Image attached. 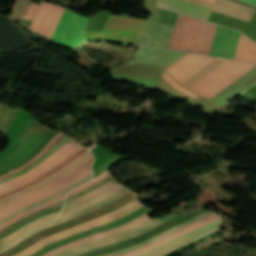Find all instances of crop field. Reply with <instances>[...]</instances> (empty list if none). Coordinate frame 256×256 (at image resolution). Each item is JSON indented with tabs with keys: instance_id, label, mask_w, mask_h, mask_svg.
Instances as JSON below:
<instances>
[{
	"instance_id": "11",
	"label": "crop field",
	"mask_w": 256,
	"mask_h": 256,
	"mask_svg": "<svg viewBox=\"0 0 256 256\" xmlns=\"http://www.w3.org/2000/svg\"><path fill=\"white\" fill-rule=\"evenodd\" d=\"M241 33L217 27L209 55L233 59Z\"/></svg>"
},
{
	"instance_id": "33",
	"label": "crop field",
	"mask_w": 256,
	"mask_h": 256,
	"mask_svg": "<svg viewBox=\"0 0 256 256\" xmlns=\"http://www.w3.org/2000/svg\"><path fill=\"white\" fill-rule=\"evenodd\" d=\"M32 122H33V119L29 117L26 118L24 123L21 125V127L15 134L11 143L4 150L0 152V157L10 152L19 143V141L22 139V137L24 136V134L26 133L27 129L29 128Z\"/></svg>"
},
{
	"instance_id": "27",
	"label": "crop field",
	"mask_w": 256,
	"mask_h": 256,
	"mask_svg": "<svg viewBox=\"0 0 256 256\" xmlns=\"http://www.w3.org/2000/svg\"><path fill=\"white\" fill-rule=\"evenodd\" d=\"M173 216H175V215H174V214H168V215H166L165 217H163L162 219H160L159 221H157V222H155V223H153V224H151V225H149V226H147V227H145V228H143V229H141V230H139V231H137V232H135V233H133V234H130V235L121 237V238H119V239L110 240V241H107V242L95 244V245H93V246H91V247H88V248H86V249H83V250L74 252V253L69 254V255H67V256H74V255H77V254H80V253H83V252H86V251H89V250H92V249H95V248H98V247H101V246L108 245V244H110V243H114V242H118V241H122V240H125V239L132 238V237H134V236H136V235H139V234H141V233H143V232H145V231H147V230H149V229H151V228H153V227H155V226L161 224L162 222L168 220L169 218H171V217H173Z\"/></svg>"
},
{
	"instance_id": "37",
	"label": "crop field",
	"mask_w": 256,
	"mask_h": 256,
	"mask_svg": "<svg viewBox=\"0 0 256 256\" xmlns=\"http://www.w3.org/2000/svg\"><path fill=\"white\" fill-rule=\"evenodd\" d=\"M40 124L38 123V121L35 119V121L33 122V124L30 126V128L28 129L27 133L25 134V136L23 137L22 141L20 142V144L14 149L12 150L9 154L5 155L4 157L0 158V162L11 157L13 154H15L18 150L21 149V147L26 143V141L30 138V136L34 133V131L38 128Z\"/></svg>"
},
{
	"instance_id": "47",
	"label": "crop field",
	"mask_w": 256,
	"mask_h": 256,
	"mask_svg": "<svg viewBox=\"0 0 256 256\" xmlns=\"http://www.w3.org/2000/svg\"><path fill=\"white\" fill-rule=\"evenodd\" d=\"M18 240H19V239H18ZM18 240H16L15 242H13V243H11V244H9V245H7V246L1 248V249H0V252L3 251V250H5V249H7V248H9V247H11V246H13L14 244H16V242H17Z\"/></svg>"
},
{
	"instance_id": "49",
	"label": "crop field",
	"mask_w": 256,
	"mask_h": 256,
	"mask_svg": "<svg viewBox=\"0 0 256 256\" xmlns=\"http://www.w3.org/2000/svg\"><path fill=\"white\" fill-rule=\"evenodd\" d=\"M206 1H209V2H213V3H214L215 0H214V1L206 0Z\"/></svg>"
},
{
	"instance_id": "17",
	"label": "crop field",
	"mask_w": 256,
	"mask_h": 256,
	"mask_svg": "<svg viewBox=\"0 0 256 256\" xmlns=\"http://www.w3.org/2000/svg\"><path fill=\"white\" fill-rule=\"evenodd\" d=\"M50 132L51 130L40 125V127L36 130V132L31 136V138L18 153H16L14 156L7 159L6 161L0 163V171L17 164L24 157L28 156L48 136Z\"/></svg>"
},
{
	"instance_id": "28",
	"label": "crop field",
	"mask_w": 256,
	"mask_h": 256,
	"mask_svg": "<svg viewBox=\"0 0 256 256\" xmlns=\"http://www.w3.org/2000/svg\"><path fill=\"white\" fill-rule=\"evenodd\" d=\"M211 213H213V212L211 210H209V211H207V212H205V213H203V214H201V215H199V216H197V217H195V218H193V219H191V220H189V221H187V222H185V223H183V224H181V225H179L177 227H174V228H172V229H170V230H168V231H166V232H164V233H162V234H160V235H158V236H156V237H154V238H152V239H150V240H148V241H146L144 243L135 245V246L130 247V248L126 249V250L112 252V253L104 255V256H114V255H117V254H121V253H124V252H128V251L140 248V247H142V246H144V245H146V244H148V243H150V242H152V241H154V240H156V239H158V238H160V237H162V236H164V235H166V234H168V233H170V232H172L174 230H177V229H179L181 227H184V226H186L188 224H191V223H193V222H195V221H197V220H199V219H201V218H203V217H205V216H207V215H209Z\"/></svg>"
},
{
	"instance_id": "45",
	"label": "crop field",
	"mask_w": 256,
	"mask_h": 256,
	"mask_svg": "<svg viewBox=\"0 0 256 256\" xmlns=\"http://www.w3.org/2000/svg\"><path fill=\"white\" fill-rule=\"evenodd\" d=\"M108 176H110V175L105 172L104 174H102L100 177H98L97 179L93 180L92 182H90V183H88V184H86V185H84V186H82V187H80V188H78V189H76V190L70 192V193L68 194V196H70V195H72V194H74V193H76V192H79V191H81V190H83V189H85V188H87V187L93 185L94 183H96V182H98V181H100V180H102V179H104V178H106V177H108ZM68 196H67V197H68Z\"/></svg>"
},
{
	"instance_id": "23",
	"label": "crop field",
	"mask_w": 256,
	"mask_h": 256,
	"mask_svg": "<svg viewBox=\"0 0 256 256\" xmlns=\"http://www.w3.org/2000/svg\"><path fill=\"white\" fill-rule=\"evenodd\" d=\"M59 211L57 212H54V213H51L49 215H46L34 222H31L25 226H23L22 228H20L18 231L14 232L13 234L11 235H7L8 237L0 240V247L20 238L21 236H23L25 233H27L28 231L40 226V225H43L45 223H48L50 221H53V220H56L57 218V214H58Z\"/></svg>"
},
{
	"instance_id": "29",
	"label": "crop field",
	"mask_w": 256,
	"mask_h": 256,
	"mask_svg": "<svg viewBox=\"0 0 256 256\" xmlns=\"http://www.w3.org/2000/svg\"><path fill=\"white\" fill-rule=\"evenodd\" d=\"M216 216H218V215L216 213H214V214H212V215H210V216H208V217H206L204 219H201V220H199V221H197V222H195V223H193V224H191L189 226H186V227L181 228V229H179V230H177L175 232H172V233H170V234H168V235L158 239L157 241H155V242H153V243H151V244H149V245H147V246H145L143 248H140V249L128 252V253H124V254H121V255H118V256H126V255H130V254H134V253L140 252V251H142L144 249H147V248H149V247H151V246H153V245H155V244H157V243H159V242H161L163 240H166V239H168V238H170L172 236H175V235H177V234H179V233H181L183 231H186V230H188V229H190V228H192V227H194V226H196V225H198L200 223H203V222H205V221H207L209 219H212V218H214Z\"/></svg>"
},
{
	"instance_id": "44",
	"label": "crop field",
	"mask_w": 256,
	"mask_h": 256,
	"mask_svg": "<svg viewBox=\"0 0 256 256\" xmlns=\"http://www.w3.org/2000/svg\"><path fill=\"white\" fill-rule=\"evenodd\" d=\"M38 7L39 6L28 4L22 18L32 20Z\"/></svg>"
},
{
	"instance_id": "21",
	"label": "crop field",
	"mask_w": 256,
	"mask_h": 256,
	"mask_svg": "<svg viewBox=\"0 0 256 256\" xmlns=\"http://www.w3.org/2000/svg\"><path fill=\"white\" fill-rule=\"evenodd\" d=\"M256 74V66L251 69L249 72L244 74L242 77H240L238 80H236L234 83L229 85L227 88H225L223 91L218 93L216 96H214L211 100L223 105L227 103L228 101L235 98L237 95H239L241 92H243L245 87L241 86L240 84L246 81L248 78Z\"/></svg>"
},
{
	"instance_id": "46",
	"label": "crop field",
	"mask_w": 256,
	"mask_h": 256,
	"mask_svg": "<svg viewBox=\"0 0 256 256\" xmlns=\"http://www.w3.org/2000/svg\"><path fill=\"white\" fill-rule=\"evenodd\" d=\"M219 217H221V216H219ZM219 217H217V218H219ZM217 218H215V219H217ZM215 219H212V220H210V221H208V222H211V221H213V220H215ZM208 222H206V223H208ZM206 223H203V224H201V225H199V226H197V227H195V228H198V227H200V226H202V225H204V224H206ZM195 228H192V229H190V230H193V229H195ZM190 230H188V231H190ZM188 231H186V232H188ZM186 232H184V233H186ZM181 234H183V233H181ZM181 234H179V235H181ZM179 235H177V236H179ZM177 236H175V237H177ZM172 238H174V237H172ZM172 238H170V239H172ZM170 239H168V240H170ZM168 240H166V241H168ZM166 241H164V242H166ZM164 242H162V243H164ZM162 243H160V244H162ZM160 244H158V245H156V246H153V247H151V248H149V249H147V250H144V251H142V252H140V253L131 255V256H135V255L144 253V252H146V251H149V250H151V249H153V248L159 246Z\"/></svg>"
},
{
	"instance_id": "5",
	"label": "crop field",
	"mask_w": 256,
	"mask_h": 256,
	"mask_svg": "<svg viewBox=\"0 0 256 256\" xmlns=\"http://www.w3.org/2000/svg\"><path fill=\"white\" fill-rule=\"evenodd\" d=\"M92 160H93V158L90 159L88 162H86L81 167L74 170L68 176L62 178L61 180L56 181V182L50 184L49 186H47L35 193L23 198V199L17 200L15 202L11 203L10 205L0 209V219L18 209H20V208L26 207L42 198H45L61 189L73 184L74 182L80 180L85 175H87L89 172H91Z\"/></svg>"
},
{
	"instance_id": "36",
	"label": "crop field",
	"mask_w": 256,
	"mask_h": 256,
	"mask_svg": "<svg viewBox=\"0 0 256 256\" xmlns=\"http://www.w3.org/2000/svg\"><path fill=\"white\" fill-rule=\"evenodd\" d=\"M74 143H75V142H73V141L71 140L69 143H67L65 146H63L62 148H60L57 152H55V153H54L53 155H51L49 158H47L46 160H44V161L41 162L40 164L36 165V166H35L33 169H31L30 171L26 172V173L23 174V175H20V176L14 178V179H12V180H10V181L4 183V184H1V185H0V188L4 187V186H6V185H8V184H10V183H13V182H15V181H17V180L23 178L24 176L28 175L29 173L35 171L37 168H39V167L43 166L44 164H46L47 162H49V161H50L51 159H53L56 155H58L59 153H61L62 151H64L65 149H67L68 147H70V146H71L72 144H74Z\"/></svg>"
},
{
	"instance_id": "8",
	"label": "crop field",
	"mask_w": 256,
	"mask_h": 256,
	"mask_svg": "<svg viewBox=\"0 0 256 256\" xmlns=\"http://www.w3.org/2000/svg\"><path fill=\"white\" fill-rule=\"evenodd\" d=\"M88 151L89 150H87V149H85L81 146L78 147L76 150H74L68 156H66L65 158H63L62 160H60L59 162H57L53 166L47 168L46 170H44L43 172H41L37 176L33 177L29 181L0 193V201L3 200V199L8 198L10 196H13L15 194H18V193L36 185V184H38L39 182L43 181L44 179H46V178H48V177H50L54 174L59 173L65 167H67L68 165H70L71 163L76 161L78 158H80L81 156L86 154Z\"/></svg>"
},
{
	"instance_id": "25",
	"label": "crop field",
	"mask_w": 256,
	"mask_h": 256,
	"mask_svg": "<svg viewBox=\"0 0 256 256\" xmlns=\"http://www.w3.org/2000/svg\"><path fill=\"white\" fill-rule=\"evenodd\" d=\"M234 59L256 63V42L241 35Z\"/></svg>"
},
{
	"instance_id": "9",
	"label": "crop field",
	"mask_w": 256,
	"mask_h": 256,
	"mask_svg": "<svg viewBox=\"0 0 256 256\" xmlns=\"http://www.w3.org/2000/svg\"><path fill=\"white\" fill-rule=\"evenodd\" d=\"M64 8L42 1L29 28L50 39Z\"/></svg>"
},
{
	"instance_id": "22",
	"label": "crop field",
	"mask_w": 256,
	"mask_h": 256,
	"mask_svg": "<svg viewBox=\"0 0 256 256\" xmlns=\"http://www.w3.org/2000/svg\"><path fill=\"white\" fill-rule=\"evenodd\" d=\"M221 221H222V217L217 219V220H215V221H213V222H211V223H208V224H206V225H204V226H202V227H200V228H198L196 230H193L191 232L183 234V235H181V236H179V237H177V238H175V239H173V240L163 244L162 246H160V247H158V248H156L154 250H151L149 252H146V253L138 255V256H152V255H155V254H157V253H159V252H161V251H163V250H165V249H167V248H169V247H171V246H173V245H175V244H177L179 242H182V241H184V240H186L188 238H191V237H193L195 235H198L200 233H203L205 231H208L210 229H213L215 227L220 226L221 225Z\"/></svg>"
},
{
	"instance_id": "13",
	"label": "crop field",
	"mask_w": 256,
	"mask_h": 256,
	"mask_svg": "<svg viewBox=\"0 0 256 256\" xmlns=\"http://www.w3.org/2000/svg\"><path fill=\"white\" fill-rule=\"evenodd\" d=\"M212 59L213 57L188 53L165 71L180 83Z\"/></svg>"
},
{
	"instance_id": "12",
	"label": "crop field",
	"mask_w": 256,
	"mask_h": 256,
	"mask_svg": "<svg viewBox=\"0 0 256 256\" xmlns=\"http://www.w3.org/2000/svg\"><path fill=\"white\" fill-rule=\"evenodd\" d=\"M185 54V52L140 47L135 60L132 62L169 67Z\"/></svg>"
},
{
	"instance_id": "2",
	"label": "crop field",
	"mask_w": 256,
	"mask_h": 256,
	"mask_svg": "<svg viewBox=\"0 0 256 256\" xmlns=\"http://www.w3.org/2000/svg\"><path fill=\"white\" fill-rule=\"evenodd\" d=\"M254 66L255 64L229 60L190 90L210 99Z\"/></svg>"
},
{
	"instance_id": "20",
	"label": "crop field",
	"mask_w": 256,
	"mask_h": 256,
	"mask_svg": "<svg viewBox=\"0 0 256 256\" xmlns=\"http://www.w3.org/2000/svg\"><path fill=\"white\" fill-rule=\"evenodd\" d=\"M126 188H124L122 185L120 184H115L111 187H109L108 189H106L105 191H103L102 193L88 199V200H84L76 205H73L69 208H66L64 210H62V212L60 213L59 215V218H62V217H65V216H68L70 214H73V213H76L78 211H81L83 209H86L98 202H101L109 197H111L112 195L124 190Z\"/></svg>"
},
{
	"instance_id": "18",
	"label": "crop field",
	"mask_w": 256,
	"mask_h": 256,
	"mask_svg": "<svg viewBox=\"0 0 256 256\" xmlns=\"http://www.w3.org/2000/svg\"><path fill=\"white\" fill-rule=\"evenodd\" d=\"M256 9L229 0H217L213 11L250 22Z\"/></svg>"
},
{
	"instance_id": "38",
	"label": "crop field",
	"mask_w": 256,
	"mask_h": 256,
	"mask_svg": "<svg viewBox=\"0 0 256 256\" xmlns=\"http://www.w3.org/2000/svg\"><path fill=\"white\" fill-rule=\"evenodd\" d=\"M64 197H65V195L62 196V197H60V198H58V199H56V200H54V201H51V202H48V203H46V204H43V205H41V206H39V207H36V208H34V209L30 210V211H26L25 213H23V214H21V215H19V216H16V217L10 219L9 221H7L6 223H4L3 225H1V226H0V229H2L3 227H5V226H7V225H9V224H11V223L17 221L18 219H20V218H22V217H24V216H26V215H28V214H30V213H33V212H35V211H37V210H40V209H42V208H44V207H47V206H49V205H52V204H54V203H56V202H58V201L64 199Z\"/></svg>"
},
{
	"instance_id": "41",
	"label": "crop field",
	"mask_w": 256,
	"mask_h": 256,
	"mask_svg": "<svg viewBox=\"0 0 256 256\" xmlns=\"http://www.w3.org/2000/svg\"><path fill=\"white\" fill-rule=\"evenodd\" d=\"M115 183H117V182H116L115 180H113V181L109 182L108 184H106V185H104V186L98 188L97 190H95V191H93V192H91V193H89V194H87V195H85V196H83V197H81V198H78V199H76V200H73V201H71V202L65 204V205H64V208H66V207H68V206H70V205H72V204H74V203H76V202H79V201H81V200H83V199H87V198H89V197H91V196H93V195H95V194H97V193H99V192L105 190L106 188H108L109 186H111V185H113V184H115ZM64 208H63V209H64Z\"/></svg>"
},
{
	"instance_id": "26",
	"label": "crop field",
	"mask_w": 256,
	"mask_h": 256,
	"mask_svg": "<svg viewBox=\"0 0 256 256\" xmlns=\"http://www.w3.org/2000/svg\"><path fill=\"white\" fill-rule=\"evenodd\" d=\"M91 178H92V173H89L87 176H85L83 179H81L80 181L76 182L75 184H73V185H71V186H69V187H67V188H65V189H63V190L57 192L56 194H54V195H52V196H50V197H47V198H45V199H43V200H41V201H39V202H37V203H35V204H33V205H30V206H28V207H26V208H23V209H21V210H18V211H16V212H14L13 214H11L9 217H7V218H5V219H3V220H0V225L3 224L4 222H6L7 220H9L10 218H12V217H14V216H16V215H19V214L23 213L24 211H26V210H28V209L34 208V207H36V206H39V205H41V204H43V203H46V202H48V201H51V200H53V199H56V198H58V197H60V196H62V195H64V194H66L69 190H71V189H73V188H75V187H77V186H80V185L86 183V182L89 181Z\"/></svg>"
},
{
	"instance_id": "16",
	"label": "crop field",
	"mask_w": 256,
	"mask_h": 256,
	"mask_svg": "<svg viewBox=\"0 0 256 256\" xmlns=\"http://www.w3.org/2000/svg\"><path fill=\"white\" fill-rule=\"evenodd\" d=\"M155 211H150L142 216H140L139 218L125 224V225H122L118 228H115V229H111V230H108V231H105V232H101V233H98V234H95V235H92V236H89V237H86V238H83V239H80V240H77V241H74V242H71V243H68L66 245H63V246H60L48 253H46L45 255L43 256H53L57 253H60V252H64L66 250H69L73 247H76L78 245H81L83 243H86V242H91L93 240H96V239H99V238H103V237H106V236H109V235H113V234H116V233H120V232H123L125 230H128L134 226H137L147 220H149L150 218L147 216L151 213H153Z\"/></svg>"
},
{
	"instance_id": "35",
	"label": "crop field",
	"mask_w": 256,
	"mask_h": 256,
	"mask_svg": "<svg viewBox=\"0 0 256 256\" xmlns=\"http://www.w3.org/2000/svg\"><path fill=\"white\" fill-rule=\"evenodd\" d=\"M69 141H70V139H68V138L65 137L61 142H59V143H58L56 146H54L51 150H49L47 153H45L43 156H41L36 162L32 163L28 168H25V169H23V170H21V171L15 173V174L9 176V177H6V178L2 179V180L0 181V184L3 183V182H5V181H7V180H9V179H11V178L16 177V176H18V175H20V174H22V173H24V172H26V171H28V170L31 169V168H33L36 164H38L39 162H41V161H43L44 159H46L48 156H50L51 154H53L56 150H58L60 147H62L64 144H66V143L69 142Z\"/></svg>"
},
{
	"instance_id": "4",
	"label": "crop field",
	"mask_w": 256,
	"mask_h": 256,
	"mask_svg": "<svg viewBox=\"0 0 256 256\" xmlns=\"http://www.w3.org/2000/svg\"><path fill=\"white\" fill-rule=\"evenodd\" d=\"M142 207V205L138 202V200H134L132 202H130L129 204H126L124 207H121L117 210H114L106 215L97 217L95 219H92L88 222L85 223H81L79 225L73 226L71 228H68L60 233L57 234H53L39 242H37L36 244L20 251L18 254L14 255V256H28L32 253H34L35 251H37L38 249L46 246L49 243H52L56 240L65 238L67 236H70L74 233H78L80 231L89 229V228H93V227H97L100 226L102 224H105L109 221L115 220V219H119L127 214H129L130 212L138 209Z\"/></svg>"
},
{
	"instance_id": "39",
	"label": "crop field",
	"mask_w": 256,
	"mask_h": 256,
	"mask_svg": "<svg viewBox=\"0 0 256 256\" xmlns=\"http://www.w3.org/2000/svg\"><path fill=\"white\" fill-rule=\"evenodd\" d=\"M63 201H64V200H62V201H60V202H58V203H56V204H54V205H52V206H49V207H47V208H45V209H42V210H40V211H37V212H35V213H33V214H31V215H29V216H27V217H25V218L19 220V221H17V222H15V223L11 224L10 226H8V227H6L5 229L1 230V231H0V235H1L2 233H4V232L10 230L11 228L17 226L18 224H20V223H22V222H24V221H26V220H28V219H30V218H32V217L38 215V214H41V213H43V212H45V211H48V210H50V209H52V208H54V207H57V206L62 205Z\"/></svg>"
},
{
	"instance_id": "24",
	"label": "crop field",
	"mask_w": 256,
	"mask_h": 256,
	"mask_svg": "<svg viewBox=\"0 0 256 256\" xmlns=\"http://www.w3.org/2000/svg\"><path fill=\"white\" fill-rule=\"evenodd\" d=\"M226 61V59L215 58L180 84L189 89Z\"/></svg>"
},
{
	"instance_id": "32",
	"label": "crop field",
	"mask_w": 256,
	"mask_h": 256,
	"mask_svg": "<svg viewBox=\"0 0 256 256\" xmlns=\"http://www.w3.org/2000/svg\"><path fill=\"white\" fill-rule=\"evenodd\" d=\"M65 136L63 134H60L58 133L45 147L44 149L38 153L36 156H34L32 159H30L28 162H26L24 165H22L21 167L11 171V172H8L2 176H0V179L6 177V176H9L27 166H29L32 162L36 161L41 155H43L45 152H47L49 149H51L54 145H56L59 141H61Z\"/></svg>"
},
{
	"instance_id": "14",
	"label": "crop field",
	"mask_w": 256,
	"mask_h": 256,
	"mask_svg": "<svg viewBox=\"0 0 256 256\" xmlns=\"http://www.w3.org/2000/svg\"><path fill=\"white\" fill-rule=\"evenodd\" d=\"M151 209H146V208H141L129 215H127L126 217L122 218V219H119V220H116V221H112V222H109L105 225H102L98 228H93V229H89L85 232H82V233H78V234H75L73 236H70L66 239H63L61 241H58V242H55V243H52L44 248H42L41 250H39L38 252L32 254L31 256H41L42 254L60 246V245H63L65 243H68V242H71V241H74V240H77V239H80V238H83V237H86V236H89V235H92V234H95V233H98V232H101V231H104V230H108V229H111V228H115V227H118L122 224H125L137 217H139L140 215L150 211Z\"/></svg>"
},
{
	"instance_id": "15",
	"label": "crop field",
	"mask_w": 256,
	"mask_h": 256,
	"mask_svg": "<svg viewBox=\"0 0 256 256\" xmlns=\"http://www.w3.org/2000/svg\"><path fill=\"white\" fill-rule=\"evenodd\" d=\"M186 1H190L193 3H197L200 5H204L207 7H213V3H209L203 0H186ZM183 0H159V6L163 7V8H167L173 11H177L183 14H187L190 16H194L200 19H204L206 20L211 8H207L204 6H200L197 4H193L190 2H186Z\"/></svg>"
},
{
	"instance_id": "48",
	"label": "crop field",
	"mask_w": 256,
	"mask_h": 256,
	"mask_svg": "<svg viewBox=\"0 0 256 256\" xmlns=\"http://www.w3.org/2000/svg\"><path fill=\"white\" fill-rule=\"evenodd\" d=\"M245 1L250 2V3H253V4L256 5V0H245Z\"/></svg>"
},
{
	"instance_id": "19",
	"label": "crop field",
	"mask_w": 256,
	"mask_h": 256,
	"mask_svg": "<svg viewBox=\"0 0 256 256\" xmlns=\"http://www.w3.org/2000/svg\"><path fill=\"white\" fill-rule=\"evenodd\" d=\"M92 157H93V156H92L91 152L87 153L85 156H83L81 159H79V160H78L77 162H75L74 164L68 166L66 169H64L63 171H61L59 174L54 175V176H52V177H50V178L44 180V181L41 182L40 184L36 185L35 187H33V188H31V189H29V190L23 192V193H20V194H18V195H15V196H13V197H11V198H9V199H6V200L0 202V208L4 207L5 205H7V204H9V203H11V202H13V201L16 200V199H19V198H22V197H24V196H26V195H29V194H31V193H33V192H35V191H37V190H39V189H41V188L47 186V185H49L50 183H52V182H54V181H56V180H58V179H60V178H62V177H64V176L68 175V174H69L70 172H72L75 168H77L78 166L84 164L88 159H90V158H92Z\"/></svg>"
},
{
	"instance_id": "43",
	"label": "crop field",
	"mask_w": 256,
	"mask_h": 256,
	"mask_svg": "<svg viewBox=\"0 0 256 256\" xmlns=\"http://www.w3.org/2000/svg\"><path fill=\"white\" fill-rule=\"evenodd\" d=\"M220 229H221V226L218 227V228H215V229H213V230H210V231H208V232H205V233H203V234H201V235H199V236H196V237H194V238H192V239H189V240H187V241H185V242H183V243H180V244H178V245H176V246H174V247H172V248H170V249H168V250H166V251H164V252H162V253H160V254H158V255H156V256H160V255H162V254H165V253H167V252H169V251H171V250H173V249H175V248H177V247H180V246H182V245H184V244H186V243H188V242H190V241H193V240H195V239H198V238H200V237H203V236H205V235H208V234H210V233H212V232H214V231L220 230Z\"/></svg>"
},
{
	"instance_id": "42",
	"label": "crop field",
	"mask_w": 256,
	"mask_h": 256,
	"mask_svg": "<svg viewBox=\"0 0 256 256\" xmlns=\"http://www.w3.org/2000/svg\"><path fill=\"white\" fill-rule=\"evenodd\" d=\"M163 78L166 79L169 83H171L173 86H175L177 89H179L180 91L184 92L185 94L193 97V98H197L199 97V95L191 92V91H188L187 89H185L183 86H181L180 84H178L175 80H173L169 75H167L166 73H164L163 75ZM170 84V85H171ZM174 87V88H175Z\"/></svg>"
},
{
	"instance_id": "10",
	"label": "crop field",
	"mask_w": 256,
	"mask_h": 256,
	"mask_svg": "<svg viewBox=\"0 0 256 256\" xmlns=\"http://www.w3.org/2000/svg\"><path fill=\"white\" fill-rule=\"evenodd\" d=\"M173 27L172 25L159 23V17L150 14L145 22L139 45L167 48Z\"/></svg>"
},
{
	"instance_id": "1",
	"label": "crop field",
	"mask_w": 256,
	"mask_h": 256,
	"mask_svg": "<svg viewBox=\"0 0 256 256\" xmlns=\"http://www.w3.org/2000/svg\"><path fill=\"white\" fill-rule=\"evenodd\" d=\"M144 22L143 20L111 14L102 32L85 31L84 42L106 40L138 45Z\"/></svg>"
},
{
	"instance_id": "7",
	"label": "crop field",
	"mask_w": 256,
	"mask_h": 256,
	"mask_svg": "<svg viewBox=\"0 0 256 256\" xmlns=\"http://www.w3.org/2000/svg\"><path fill=\"white\" fill-rule=\"evenodd\" d=\"M206 210H203V209H200L184 218L180 217L179 215L162 223L161 225L155 227L154 229L146 232V233H143L135 238H132V239H129V240H126V241H122V242H119V243H115V244H112V245H108V246H105V247H101V248H98V249H95V250H92V251H89V252H86V253H83V254H80V255H77V256H101V255H104V254H107V253H110L112 251H116V250H122V249H125L129 246H133L135 244H138V243H141V242H144L160 233H162L163 231L169 229V228H172L178 224H181L203 212H205Z\"/></svg>"
},
{
	"instance_id": "40",
	"label": "crop field",
	"mask_w": 256,
	"mask_h": 256,
	"mask_svg": "<svg viewBox=\"0 0 256 256\" xmlns=\"http://www.w3.org/2000/svg\"><path fill=\"white\" fill-rule=\"evenodd\" d=\"M111 180H113V179L110 176V177H108V178H106V179H104V180L94 184L93 186H91V187H89V188H87V189H85V190H83V191H81V192H79V193H77V194L67 198L66 202L71 201L73 199H76V198H78V197H80V196H82V195H84V194H86V193H88V192H90V191H92V190H94V189L104 185L105 183H107V182H109Z\"/></svg>"
},
{
	"instance_id": "30",
	"label": "crop field",
	"mask_w": 256,
	"mask_h": 256,
	"mask_svg": "<svg viewBox=\"0 0 256 256\" xmlns=\"http://www.w3.org/2000/svg\"><path fill=\"white\" fill-rule=\"evenodd\" d=\"M158 219H160V218H157V219H150L149 221L145 222L144 224H142V225H140V226H138V227H136V228H134V229H132V230H129V231H127V232H124V233H121V234H117V235H113V236H110V237H107V238H104V239L96 240V241L91 242V243H86V244H84V245L78 246V247H76V248H73V249H71V250H69V251H66V252H64V253L58 254V255H56V256H65V255H67V254H69V253H72V252H74V251L83 249V248L88 247V246H90V245H92V244L99 243V242H103V241L110 240V239H115V238H118V237H121V236L130 234V233H132V232H134V231H137V230H139V229H141V228H143V227H145V226H147V225H149V224H151V223L157 221Z\"/></svg>"
},
{
	"instance_id": "31",
	"label": "crop field",
	"mask_w": 256,
	"mask_h": 256,
	"mask_svg": "<svg viewBox=\"0 0 256 256\" xmlns=\"http://www.w3.org/2000/svg\"><path fill=\"white\" fill-rule=\"evenodd\" d=\"M78 146H80V145H78L77 143L74 144L73 146H71L70 148H68L66 151H64L61 155L59 154L60 156L56 157L55 159H53L52 161H50L49 163H47V164L44 165L43 167L39 168L38 170H36L35 172H33L31 175H29V176H27V177H25V178H23V179H21V180L15 182V183H13V184H10V185H8V186H6V187L0 189V192L4 191V190H6V189H9V188H11V187H13V186H15V185H17V184H19V183H22V182H24V181H26V180L32 178L33 176L37 175L38 173H40L41 171H43V170L46 169L47 167L53 165L54 163H56L57 161H59L60 159H62L63 157H65L67 154H69L71 151H73V150H74L75 148H77Z\"/></svg>"
},
{
	"instance_id": "6",
	"label": "crop field",
	"mask_w": 256,
	"mask_h": 256,
	"mask_svg": "<svg viewBox=\"0 0 256 256\" xmlns=\"http://www.w3.org/2000/svg\"><path fill=\"white\" fill-rule=\"evenodd\" d=\"M87 19L88 18L79 16L66 9L52 36V39H55L73 46L81 43L82 36H83V29L85 27ZM52 39L51 41L53 42L59 43L69 48H74L70 45H67Z\"/></svg>"
},
{
	"instance_id": "3",
	"label": "crop field",
	"mask_w": 256,
	"mask_h": 256,
	"mask_svg": "<svg viewBox=\"0 0 256 256\" xmlns=\"http://www.w3.org/2000/svg\"><path fill=\"white\" fill-rule=\"evenodd\" d=\"M136 194H133V193H128L120 198H118L117 200L99 208V209H96L94 211H91V212H88L78 218H75L73 220H70V221H67V222H64L62 224H59V225H56V226H53V227H50V228H47L41 232H39L38 234L24 240L23 242L3 251L0 253V256H11L17 252H19L20 250L24 249L25 247L41 240L42 238L50 235V234H53L55 232H58V231H61V230H64L68 227H71L73 225H76V224H79L81 222H84V221H87V220H90L92 218H95L97 216H100V215H103V214H106L114 209H117L121 206H123V204L133 200L136 198Z\"/></svg>"
},
{
	"instance_id": "34",
	"label": "crop field",
	"mask_w": 256,
	"mask_h": 256,
	"mask_svg": "<svg viewBox=\"0 0 256 256\" xmlns=\"http://www.w3.org/2000/svg\"><path fill=\"white\" fill-rule=\"evenodd\" d=\"M128 192H129V191L126 189V190L120 192L119 194H117V195H115V196H113V197H111V198H109V199H107V200L101 202L102 204L99 203L100 205H98V204H97L98 206L95 205L96 207H93V208H91V209L88 208L89 210L84 211V212L81 211L82 213L78 212V213H80V214H77V213H76L77 215L73 214V215H75V216L70 215V216H73V217L68 216V217H70V218L65 217V218H68V219H65V218H63V219H65V220L61 219V220H63V221L56 220V221L51 222V223H48V224H46V225L53 224V223H55V222L60 221V222H58V223L53 224V225H56V224H59V223H61V222L70 220V219H72V218H75V217H77V216H79V215H82V214L88 212V211H91V210H93V209L99 208V207H101V206H103V205L109 203L110 201H112V200H114V199H116V198H118V197H120V196H122V195H124V194H126V193H128ZM46 225H43V226H41V227H39V228H37V229H35V230L29 232L28 234H30V233H32V232H34V231H36V230H38V229H40V228L46 226ZM53 225H50V226H53ZM50 226H48V227H50ZM46 228H47V227H46ZM43 229H45V228H43ZM43 229H41V230H43ZM41 230H39V231H41ZM39 231H37V232H39ZM37 232H35V233H37ZM35 233H33V234H35ZM28 234H27V235H28ZM33 234H31V235H29V236H27V235L23 236L22 239L20 240V242L23 241L24 239H26V238L32 236Z\"/></svg>"
}]
</instances>
